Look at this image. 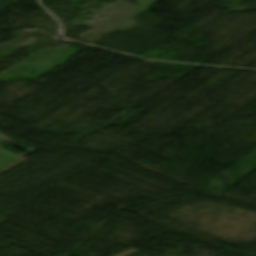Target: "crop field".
I'll return each instance as SVG.
<instances>
[{
  "label": "crop field",
  "mask_w": 256,
  "mask_h": 256,
  "mask_svg": "<svg viewBox=\"0 0 256 256\" xmlns=\"http://www.w3.org/2000/svg\"><path fill=\"white\" fill-rule=\"evenodd\" d=\"M28 159L0 147V174Z\"/></svg>",
  "instance_id": "obj_1"
}]
</instances>
